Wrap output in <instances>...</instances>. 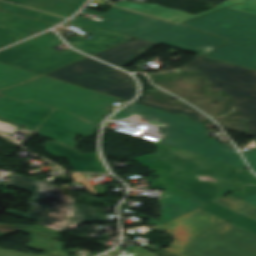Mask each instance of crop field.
I'll list each match as a JSON object with an SVG mask.
<instances>
[{
  "label": "crop field",
  "mask_w": 256,
  "mask_h": 256,
  "mask_svg": "<svg viewBox=\"0 0 256 256\" xmlns=\"http://www.w3.org/2000/svg\"><path fill=\"white\" fill-rule=\"evenodd\" d=\"M159 202L161 206L159 220L165 223L206 205L171 192H167L164 199Z\"/></svg>",
  "instance_id": "crop-field-18"
},
{
  "label": "crop field",
  "mask_w": 256,
  "mask_h": 256,
  "mask_svg": "<svg viewBox=\"0 0 256 256\" xmlns=\"http://www.w3.org/2000/svg\"><path fill=\"white\" fill-rule=\"evenodd\" d=\"M191 256H256V235L226 222L199 236Z\"/></svg>",
  "instance_id": "crop-field-10"
},
{
  "label": "crop field",
  "mask_w": 256,
  "mask_h": 256,
  "mask_svg": "<svg viewBox=\"0 0 256 256\" xmlns=\"http://www.w3.org/2000/svg\"><path fill=\"white\" fill-rule=\"evenodd\" d=\"M203 76L207 89L220 85L248 119L247 130L256 133V72L197 56L180 68Z\"/></svg>",
  "instance_id": "crop-field-6"
},
{
  "label": "crop field",
  "mask_w": 256,
  "mask_h": 256,
  "mask_svg": "<svg viewBox=\"0 0 256 256\" xmlns=\"http://www.w3.org/2000/svg\"><path fill=\"white\" fill-rule=\"evenodd\" d=\"M256 191V183L250 185V186H247L237 192H234L235 195H237L239 198H242L248 194H251L253 192Z\"/></svg>",
  "instance_id": "crop-field-31"
},
{
  "label": "crop field",
  "mask_w": 256,
  "mask_h": 256,
  "mask_svg": "<svg viewBox=\"0 0 256 256\" xmlns=\"http://www.w3.org/2000/svg\"><path fill=\"white\" fill-rule=\"evenodd\" d=\"M116 6L123 7L138 13L146 14L156 18L173 21L176 23H181L182 21L195 17L191 14L179 11V10H169L158 5L153 4H132L130 2H121ZM201 15V14H198ZM196 15V16H198Z\"/></svg>",
  "instance_id": "crop-field-21"
},
{
  "label": "crop field",
  "mask_w": 256,
  "mask_h": 256,
  "mask_svg": "<svg viewBox=\"0 0 256 256\" xmlns=\"http://www.w3.org/2000/svg\"><path fill=\"white\" fill-rule=\"evenodd\" d=\"M46 151L57 158H69L77 172L106 173L104 165L97 154H80L78 150H71L53 142L44 144Z\"/></svg>",
  "instance_id": "crop-field-16"
},
{
  "label": "crop field",
  "mask_w": 256,
  "mask_h": 256,
  "mask_svg": "<svg viewBox=\"0 0 256 256\" xmlns=\"http://www.w3.org/2000/svg\"><path fill=\"white\" fill-rule=\"evenodd\" d=\"M21 101H34L61 109L99 125L109 105L118 98L42 76L26 84L0 91Z\"/></svg>",
  "instance_id": "crop-field-3"
},
{
  "label": "crop field",
  "mask_w": 256,
  "mask_h": 256,
  "mask_svg": "<svg viewBox=\"0 0 256 256\" xmlns=\"http://www.w3.org/2000/svg\"><path fill=\"white\" fill-rule=\"evenodd\" d=\"M20 232L32 235L30 238L34 240L28 243L27 246L40 251L49 252L56 256H67L63 251V246L65 244L52 240L59 236V232L41 227L37 224L30 228L21 230Z\"/></svg>",
  "instance_id": "crop-field-19"
},
{
  "label": "crop field",
  "mask_w": 256,
  "mask_h": 256,
  "mask_svg": "<svg viewBox=\"0 0 256 256\" xmlns=\"http://www.w3.org/2000/svg\"><path fill=\"white\" fill-rule=\"evenodd\" d=\"M241 1H243V0H241ZM241 1H239V2H241ZM229 8H233V9L241 10V11H244V12L256 14V0H247L243 3L241 2L239 4L231 6Z\"/></svg>",
  "instance_id": "crop-field-27"
},
{
  "label": "crop field",
  "mask_w": 256,
  "mask_h": 256,
  "mask_svg": "<svg viewBox=\"0 0 256 256\" xmlns=\"http://www.w3.org/2000/svg\"><path fill=\"white\" fill-rule=\"evenodd\" d=\"M153 143L158 147L155 155L133 160L162 175L155 180L163 189L209 204L201 210L224 220L240 214L215 201L255 182L256 176L249 170ZM228 222L256 234V220L252 218L241 214Z\"/></svg>",
  "instance_id": "crop-field-1"
},
{
  "label": "crop field",
  "mask_w": 256,
  "mask_h": 256,
  "mask_svg": "<svg viewBox=\"0 0 256 256\" xmlns=\"http://www.w3.org/2000/svg\"><path fill=\"white\" fill-rule=\"evenodd\" d=\"M60 43L57 35L47 32L0 51V62L43 75L86 57L73 50L59 52L51 49Z\"/></svg>",
  "instance_id": "crop-field-8"
},
{
  "label": "crop field",
  "mask_w": 256,
  "mask_h": 256,
  "mask_svg": "<svg viewBox=\"0 0 256 256\" xmlns=\"http://www.w3.org/2000/svg\"><path fill=\"white\" fill-rule=\"evenodd\" d=\"M27 227L29 226L0 224V231L3 232L5 235H7Z\"/></svg>",
  "instance_id": "crop-field-29"
},
{
  "label": "crop field",
  "mask_w": 256,
  "mask_h": 256,
  "mask_svg": "<svg viewBox=\"0 0 256 256\" xmlns=\"http://www.w3.org/2000/svg\"><path fill=\"white\" fill-rule=\"evenodd\" d=\"M14 178L7 186L19 188L36 194L30 204L32 210L29 215L19 211L8 209L6 214L16 217H27L40 220L38 224L59 232H64L72 222L75 214V200L64 194L65 190L57 186L33 180L12 173L8 175Z\"/></svg>",
  "instance_id": "crop-field-7"
},
{
  "label": "crop field",
  "mask_w": 256,
  "mask_h": 256,
  "mask_svg": "<svg viewBox=\"0 0 256 256\" xmlns=\"http://www.w3.org/2000/svg\"><path fill=\"white\" fill-rule=\"evenodd\" d=\"M52 108L28 101L9 98H0V116L27 125L28 130H36Z\"/></svg>",
  "instance_id": "crop-field-13"
},
{
  "label": "crop field",
  "mask_w": 256,
  "mask_h": 256,
  "mask_svg": "<svg viewBox=\"0 0 256 256\" xmlns=\"http://www.w3.org/2000/svg\"><path fill=\"white\" fill-rule=\"evenodd\" d=\"M135 256H138V255H135Z\"/></svg>",
  "instance_id": "crop-field-41"
},
{
  "label": "crop field",
  "mask_w": 256,
  "mask_h": 256,
  "mask_svg": "<svg viewBox=\"0 0 256 256\" xmlns=\"http://www.w3.org/2000/svg\"><path fill=\"white\" fill-rule=\"evenodd\" d=\"M51 26L53 25L0 11V48L30 36L31 31L39 32Z\"/></svg>",
  "instance_id": "crop-field-14"
},
{
  "label": "crop field",
  "mask_w": 256,
  "mask_h": 256,
  "mask_svg": "<svg viewBox=\"0 0 256 256\" xmlns=\"http://www.w3.org/2000/svg\"><path fill=\"white\" fill-rule=\"evenodd\" d=\"M0 256H52V255H49V254H41V255L24 254V253H20L17 251L0 248Z\"/></svg>",
  "instance_id": "crop-field-28"
},
{
  "label": "crop field",
  "mask_w": 256,
  "mask_h": 256,
  "mask_svg": "<svg viewBox=\"0 0 256 256\" xmlns=\"http://www.w3.org/2000/svg\"><path fill=\"white\" fill-rule=\"evenodd\" d=\"M164 45H168V46H172V47H176V48H180V49H184V50H188V51H192V52H196L197 53L196 48L188 46V45H184V44H181V43L173 44V43L168 42V43H166Z\"/></svg>",
  "instance_id": "crop-field-33"
},
{
  "label": "crop field",
  "mask_w": 256,
  "mask_h": 256,
  "mask_svg": "<svg viewBox=\"0 0 256 256\" xmlns=\"http://www.w3.org/2000/svg\"><path fill=\"white\" fill-rule=\"evenodd\" d=\"M130 116L156 127L152 132L164 135L157 143L246 168L241 156L226 145L207 136V127L200 122L132 103L110 118Z\"/></svg>",
  "instance_id": "crop-field-2"
},
{
  "label": "crop field",
  "mask_w": 256,
  "mask_h": 256,
  "mask_svg": "<svg viewBox=\"0 0 256 256\" xmlns=\"http://www.w3.org/2000/svg\"><path fill=\"white\" fill-rule=\"evenodd\" d=\"M243 200H245V201H247V202H249V203H251V204L256 206V194H254L252 196H249V197H247V198H245Z\"/></svg>",
  "instance_id": "crop-field-36"
},
{
  "label": "crop field",
  "mask_w": 256,
  "mask_h": 256,
  "mask_svg": "<svg viewBox=\"0 0 256 256\" xmlns=\"http://www.w3.org/2000/svg\"><path fill=\"white\" fill-rule=\"evenodd\" d=\"M243 155L245 156L246 160L248 161L250 167L255 171L256 173V149L252 150L251 153L245 155L243 152Z\"/></svg>",
  "instance_id": "crop-field-32"
},
{
  "label": "crop field",
  "mask_w": 256,
  "mask_h": 256,
  "mask_svg": "<svg viewBox=\"0 0 256 256\" xmlns=\"http://www.w3.org/2000/svg\"><path fill=\"white\" fill-rule=\"evenodd\" d=\"M8 1L68 17L69 15L77 11L86 0H8Z\"/></svg>",
  "instance_id": "crop-field-20"
},
{
  "label": "crop field",
  "mask_w": 256,
  "mask_h": 256,
  "mask_svg": "<svg viewBox=\"0 0 256 256\" xmlns=\"http://www.w3.org/2000/svg\"><path fill=\"white\" fill-rule=\"evenodd\" d=\"M115 70L101 62L87 58L45 76L130 101L137 91L133 79L120 83L102 78Z\"/></svg>",
  "instance_id": "crop-field-9"
},
{
  "label": "crop field",
  "mask_w": 256,
  "mask_h": 256,
  "mask_svg": "<svg viewBox=\"0 0 256 256\" xmlns=\"http://www.w3.org/2000/svg\"><path fill=\"white\" fill-rule=\"evenodd\" d=\"M0 236H2V235L0 234Z\"/></svg>",
  "instance_id": "crop-field-39"
},
{
  "label": "crop field",
  "mask_w": 256,
  "mask_h": 256,
  "mask_svg": "<svg viewBox=\"0 0 256 256\" xmlns=\"http://www.w3.org/2000/svg\"><path fill=\"white\" fill-rule=\"evenodd\" d=\"M244 215H247L249 217H252V218L256 219V208L247 212V213H245Z\"/></svg>",
  "instance_id": "crop-field-37"
},
{
  "label": "crop field",
  "mask_w": 256,
  "mask_h": 256,
  "mask_svg": "<svg viewBox=\"0 0 256 256\" xmlns=\"http://www.w3.org/2000/svg\"><path fill=\"white\" fill-rule=\"evenodd\" d=\"M83 12L99 14L106 17L101 22H92L82 18L74 21L90 24L121 34L132 35L159 44L168 41L184 43L197 48L198 54L205 56L207 53L224 43L226 40L196 31L184 26L170 24L134 12L112 7L106 14L85 9Z\"/></svg>",
  "instance_id": "crop-field-4"
},
{
  "label": "crop field",
  "mask_w": 256,
  "mask_h": 256,
  "mask_svg": "<svg viewBox=\"0 0 256 256\" xmlns=\"http://www.w3.org/2000/svg\"><path fill=\"white\" fill-rule=\"evenodd\" d=\"M2 95H0V97H1Z\"/></svg>",
  "instance_id": "crop-field-40"
},
{
  "label": "crop field",
  "mask_w": 256,
  "mask_h": 256,
  "mask_svg": "<svg viewBox=\"0 0 256 256\" xmlns=\"http://www.w3.org/2000/svg\"><path fill=\"white\" fill-rule=\"evenodd\" d=\"M156 45L159 44L138 39L133 42H126L94 56L103 61L123 68L128 65L130 60L134 58L139 52L143 51L148 47Z\"/></svg>",
  "instance_id": "crop-field-17"
},
{
  "label": "crop field",
  "mask_w": 256,
  "mask_h": 256,
  "mask_svg": "<svg viewBox=\"0 0 256 256\" xmlns=\"http://www.w3.org/2000/svg\"><path fill=\"white\" fill-rule=\"evenodd\" d=\"M148 99H149L148 96H140L135 102L139 103V104L146 105V106H150V107H153V108H157V109H160V110H163V111H167V112H170L172 114L186 116V117H189V118H192V119H195V120L201 122V117L198 114L191 113V112H186V111H183L181 109L165 108V107H160V106H157V105H153V104H150V103L147 102Z\"/></svg>",
  "instance_id": "crop-field-25"
},
{
  "label": "crop field",
  "mask_w": 256,
  "mask_h": 256,
  "mask_svg": "<svg viewBox=\"0 0 256 256\" xmlns=\"http://www.w3.org/2000/svg\"><path fill=\"white\" fill-rule=\"evenodd\" d=\"M217 202L222 203L240 213L255 207V206L250 205L242 200L237 199L234 196H227L223 199L218 200Z\"/></svg>",
  "instance_id": "crop-field-26"
},
{
  "label": "crop field",
  "mask_w": 256,
  "mask_h": 256,
  "mask_svg": "<svg viewBox=\"0 0 256 256\" xmlns=\"http://www.w3.org/2000/svg\"><path fill=\"white\" fill-rule=\"evenodd\" d=\"M38 76L40 75L0 63V90Z\"/></svg>",
  "instance_id": "crop-field-22"
},
{
  "label": "crop field",
  "mask_w": 256,
  "mask_h": 256,
  "mask_svg": "<svg viewBox=\"0 0 256 256\" xmlns=\"http://www.w3.org/2000/svg\"><path fill=\"white\" fill-rule=\"evenodd\" d=\"M91 2H92V1H91ZM106 2H107V1H105V0H93L92 3H97V4H100V5H105Z\"/></svg>",
  "instance_id": "crop-field-38"
},
{
  "label": "crop field",
  "mask_w": 256,
  "mask_h": 256,
  "mask_svg": "<svg viewBox=\"0 0 256 256\" xmlns=\"http://www.w3.org/2000/svg\"><path fill=\"white\" fill-rule=\"evenodd\" d=\"M184 25L230 40L208 57L256 69V15L225 8Z\"/></svg>",
  "instance_id": "crop-field-5"
},
{
  "label": "crop field",
  "mask_w": 256,
  "mask_h": 256,
  "mask_svg": "<svg viewBox=\"0 0 256 256\" xmlns=\"http://www.w3.org/2000/svg\"><path fill=\"white\" fill-rule=\"evenodd\" d=\"M105 78H109V79H113V80H117V81H125V80H128V79H131V77L119 70L105 76Z\"/></svg>",
  "instance_id": "crop-field-30"
},
{
  "label": "crop field",
  "mask_w": 256,
  "mask_h": 256,
  "mask_svg": "<svg viewBox=\"0 0 256 256\" xmlns=\"http://www.w3.org/2000/svg\"><path fill=\"white\" fill-rule=\"evenodd\" d=\"M239 0H228L226 1L225 3L217 6L216 8L212 9V10H209V11H206L204 13H207V12H210V11H213V10H216V9H219V8H222V7H225V6H228V5H231V4H235V3H238ZM204 13H201V14H204Z\"/></svg>",
  "instance_id": "crop-field-35"
},
{
  "label": "crop field",
  "mask_w": 256,
  "mask_h": 256,
  "mask_svg": "<svg viewBox=\"0 0 256 256\" xmlns=\"http://www.w3.org/2000/svg\"><path fill=\"white\" fill-rule=\"evenodd\" d=\"M97 125L85 122L80 117L55 109L36 130L39 135L56 139L63 145L76 149L73 137L78 135H92Z\"/></svg>",
  "instance_id": "crop-field-12"
},
{
  "label": "crop field",
  "mask_w": 256,
  "mask_h": 256,
  "mask_svg": "<svg viewBox=\"0 0 256 256\" xmlns=\"http://www.w3.org/2000/svg\"><path fill=\"white\" fill-rule=\"evenodd\" d=\"M222 222L224 220L198 210L158 228L169 232L168 235L174 237L172 245L166 250L179 256H188L197 238L195 234Z\"/></svg>",
  "instance_id": "crop-field-11"
},
{
  "label": "crop field",
  "mask_w": 256,
  "mask_h": 256,
  "mask_svg": "<svg viewBox=\"0 0 256 256\" xmlns=\"http://www.w3.org/2000/svg\"><path fill=\"white\" fill-rule=\"evenodd\" d=\"M97 211L93 210L92 206L77 204V214L72 224H80L81 222L92 223L100 222L102 216L96 215Z\"/></svg>",
  "instance_id": "crop-field-24"
},
{
  "label": "crop field",
  "mask_w": 256,
  "mask_h": 256,
  "mask_svg": "<svg viewBox=\"0 0 256 256\" xmlns=\"http://www.w3.org/2000/svg\"><path fill=\"white\" fill-rule=\"evenodd\" d=\"M0 7L3 11L9 12V13L22 15V16H26V17L54 23V24H57L60 21L64 20L63 18H59V17L52 16V15H49L46 13L23 8L20 6L12 5L9 3L2 2V1H0Z\"/></svg>",
  "instance_id": "crop-field-23"
},
{
  "label": "crop field",
  "mask_w": 256,
  "mask_h": 256,
  "mask_svg": "<svg viewBox=\"0 0 256 256\" xmlns=\"http://www.w3.org/2000/svg\"><path fill=\"white\" fill-rule=\"evenodd\" d=\"M69 23L90 31L88 34L94 36L89 40H86L80 36L71 39V43L75 48L82 50L90 55L107 49L129 38L128 36L110 32L90 25L74 22L71 20L69 21Z\"/></svg>",
  "instance_id": "crop-field-15"
},
{
  "label": "crop field",
  "mask_w": 256,
  "mask_h": 256,
  "mask_svg": "<svg viewBox=\"0 0 256 256\" xmlns=\"http://www.w3.org/2000/svg\"><path fill=\"white\" fill-rule=\"evenodd\" d=\"M132 252H134L135 254H138L140 256H156L151 252H148L140 247H135L133 250H131Z\"/></svg>",
  "instance_id": "crop-field-34"
}]
</instances>
